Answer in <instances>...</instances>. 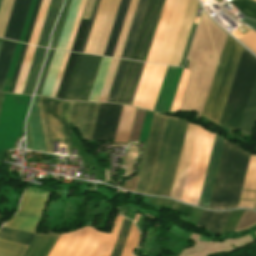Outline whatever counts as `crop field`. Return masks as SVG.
Listing matches in <instances>:
<instances>
[{
    "label": "crop field",
    "instance_id": "obj_19",
    "mask_svg": "<svg viewBox=\"0 0 256 256\" xmlns=\"http://www.w3.org/2000/svg\"><path fill=\"white\" fill-rule=\"evenodd\" d=\"M256 193V156L251 155L245 182L239 202V207H253Z\"/></svg>",
    "mask_w": 256,
    "mask_h": 256
},
{
    "label": "crop field",
    "instance_id": "obj_51",
    "mask_svg": "<svg viewBox=\"0 0 256 256\" xmlns=\"http://www.w3.org/2000/svg\"><path fill=\"white\" fill-rule=\"evenodd\" d=\"M195 25L196 24L192 25V28H191V31H190V34H189V37H188V40H187V43H186V47H185V50H184V53H183V56H182V59H181V62H180L179 66H183V64H184L185 57H186V54H187V51H188V48H189V44H190V41H191V38H192V35H193V32H194Z\"/></svg>",
    "mask_w": 256,
    "mask_h": 256
},
{
    "label": "crop field",
    "instance_id": "obj_17",
    "mask_svg": "<svg viewBox=\"0 0 256 256\" xmlns=\"http://www.w3.org/2000/svg\"><path fill=\"white\" fill-rule=\"evenodd\" d=\"M31 0H15L5 30V39L18 41Z\"/></svg>",
    "mask_w": 256,
    "mask_h": 256
},
{
    "label": "crop field",
    "instance_id": "obj_53",
    "mask_svg": "<svg viewBox=\"0 0 256 256\" xmlns=\"http://www.w3.org/2000/svg\"><path fill=\"white\" fill-rule=\"evenodd\" d=\"M243 22L256 29V22L255 21H252L250 19H245V20H243Z\"/></svg>",
    "mask_w": 256,
    "mask_h": 256
},
{
    "label": "crop field",
    "instance_id": "obj_22",
    "mask_svg": "<svg viewBox=\"0 0 256 256\" xmlns=\"http://www.w3.org/2000/svg\"><path fill=\"white\" fill-rule=\"evenodd\" d=\"M59 234L36 235L24 256H47Z\"/></svg>",
    "mask_w": 256,
    "mask_h": 256
},
{
    "label": "crop field",
    "instance_id": "obj_38",
    "mask_svg": "<svg viewBox=\"0 0 256 256\" xmlns=\"http://www.w3.org/2000/svg\"><path fill=\"white\" fill-rule=\"evenodd\" d=\"M139 236H140V233L138 232V230L136 229V227L132 223L131 228H130V232H129V236H128V239L126 241V244H125V247L123 249V252H122L121 256H130L131 255V253L136 248Z\"/></svg>",
    "mask_w": 256,
    "mask_h": 256
},
{
    "label": "crop field",
    "instance_id": "obj_57",
    "mask_svg": "<svg viewBox=\"0 0 256 256\" xmlns=\"http://www.w3.org/2000/svg\"><path fill=\"white\" fill-rule=\"evenodd\" d=\"M219 3H221L222 2V0H217Z\"/></svg>",
    "mask_w": 256,
    "mask_h": 256
},
{
    "label": "crop field",
    "instance_id": "obj_25",
    "mask_svg": "<svg viewBox=\"0 0 256 256\" xmlns=\"http://www.w3.org/2000/svg\"><path fill=\"white\" fill-rule=\"evenodd\" d=\"M46 49L36 48L35 55L22 94H32L38 79L39 71L44 60Z\"/></svg>",
    "mask_w": 256,
    "mask_h": 256
},
{
    "label": "crop field",
    "instance_id": "obj_31",
    "mask_svg": "<svg viewBox=\"0 0 256 256\" xmlns=\"http://www.w3.org/2000/svg\"><path fill=\"white\" fill-rule=\"evenodd\" d=\"M77 55L78 54H74V53L69 54V57H68V60H67L64 72H63V76H62V79H61V82H60V85H59V88H58V91H57V94L55 97L57 99L63 100V98H64Z\"/></svg>",
    "mask_w": 256,
    "mask_h": 256
},
{
    "label": "crop field",
    "instance_id": "obj_4",
    "mask_svg": "<svg viewBox=\"0 0 256 256\" xmlns=\"http://www.w3.org/2000/svg\"><path fill=\"white\" fill-rule=\"evenodd\" d=\"M256 77V59L243 49L221 117L220 126L239 130Z\"/></svg>",
    "mask_w": 256,
    "mask_h": 256
},
{
    "label": "crop field",
    "instance_id": "obj_60",
    "mask_svg": "<svg viewBox=\"0 0 256 256\" xmlns=\"http://www.w3.org/2000/svg\"><path fill=\"white\" fill-rule=\"evenodd\" d=\"M0 2H1V0H0Z\"/></svg>",
    "mask_w": 256,
    "mask_h": 256
},
{
    "label": "crop field",
    "instance_id": "obj_18",
    "mask_svg": "<svg viewBox=\"0 0 256 256\" xmlns=\"http://www.w3.org/2000/svg\"><path fill=\"white\" fill-rule=\"evenodd\" d=\"M32 149L46 152L42 124L39 116V97L34 98L28 118Z\"/></svg>",
    "mask_w": 256,
    "mask_h": 256
},
{
    "label": "crop field",
    "instance_id": "obj_16",
    "mask_svg": "<svg viewBox=\"0 0 256 256\" xmlns=\"http://www.w3.org/2000/svg\"><path fill=\"white\" fill-rule=\"evenodd\" d=\"M223 142H224V139H222L219 135H216L203 189H202V193H201V197H200V201H199V205H198L200 207L207 208L208 206Z\"/></svg>",
    "mask_w": 256,
    "mask_h": 256
},
{
    "label": "crop field",
    "instance_id": "obj_26",
    "mask_svg": "<svg viewBox=\"0 0 256 256\" xmlns=\"http://www.w3.org/2000/svg\"><path fill=\"white\" fill-rule=\"evenodd\" d=\"M61 3L62 0H51L37 45L47 47L50 29L56 19Z\"/></svg>",
    "mask_w": 256,
    "mask_h": 256
},
{
    "label": "crop field",
    "instance_id": "obj_6",
    "mask_svg": "<svg viewBox=\"0 0 256 256\" xmlns=\"http://www.w3.org/2000/svg\"><path fill=\"white\" fill-rule=\"evenodd\" d=\"M203 129V128H202ZM198 129L181 200L197 206L214 136Z\"/></svg>",
    "mask_w": 256,
    "mask_h": 256
},
{
    "label": "crop field",
    "instance_id": "obj_32",
    "mask_svg": "<svg viewBox=\"0 0 256 256\" xmlns=\"http://www.w3.org/2000/svg\"><path fill=\"white\" fill-rule=\"evenodd\" d=\"M35 48L36 47H34V46H30V45L28 46L27 53H26V56H25V59L23 62V66H22L20 76H19L14 93H19V94L22 93L23 86H24V83H25V80H26V77L28 74V70H29V67H30V64H31V61L33 58Z\"/></svg>",
    "mask_w": 256,
    "mask_h": 256
},
{
    "label": "crop field",
    "instance_id": "obj_23",
    "mask_svg": "<svg viewBox=\"0 0 256 256\" xmlns=\"http://www.w3.org/2000/svg\"><path fill=\"white\" fill-rule=\"evenodd\" d=\"M135 109L123 105L114 143H127Z\"/></svg>",
    "mask_w": 256,
    "mask_h": 256
},
{
    "label": "crop field",
    "instance_id": "obj_39",
    "mask_svg": "<svg viewBox=\"0 0 256 256\" xmlns=\"http://www.w3.org/2000/svg\"><path fill=\"white\" fill-rule=\"evenodd\" d=\"M69 104L70 102L63 101L62 119H63V125L65 129V135H66V144H68V155H72L71 131L69 127V117H68Z\"/></svg>",
    "mask_w": 256,
    "mask_h": 256
},
{
    "label": "crop field",
    "instance_id": "obj_29",
    "mask_svg": "<svg viewBox=\"0 0 256 256\" xmlns=\"http://www.w3.org/2000/svg\"><path fill=\"white\" fill-rule=\"evenodd\" d=\"M111 60L112 59H110V58H105V57L102 58V61H101V64H100V67H99V70H98V73H97V76H96V79H95V82H94V85H93V88H92V91H91L88 101H93V102L98 101L104 80L106 78V75H107V72H108V69H109V66L111 63Z\"/></svg>",
    "mask_w": 256,
    "mask_h": 256
},
{
    "label": "crop field",
    "instance_id": "obj_44",
    "mask_svg": "<svg viewBox=\"0 0 256 256\" xmlns=\"http://www.w3.org/2000/svg\"><path fill=\"white\" fill-rule=\"evenodd\" d=\"M88 21L81 20L71 51L78 52Z\"/></svg>",
    "mask_w": 256,
    "mask_h": 256
},
{
    "label": "crop field",
    "instance_id": "obj_56",
    "mask_svg": "<svg viewBox=\"0 0 256 256\" xmlns=\"http://www.w3.org/2000/svg\"><path fill=\"white\" fill-rule=\"evenodd\" d=\"M253 209H255V210H256V198H255V203H254V207H253Z\"/></svg>",
    "mask_w": 256,
    "mask_h": 256
},
{
    "label": "crop field",
    "instance_id": "obj_3",
    "mask_svg": "<svg viewBox=\"0 0 256 256\" xmlns=\"http://www.w3.org/2000/svg\"><path fill=\"white\" fill-rule=\"evenodd\" d=\"M123 219L117 216L109 234L85 227L60 235L48 256H109Z\"/></svg>",
    "mask_w": 256,
    "mask_h": 256
},
{
    "label": "crop field",
    "instance_id": "obj_33",
    "mask_svg": "<svg viewBox=\"0 0 256 256\" xmlns=\"http://www.w3.org/2000/svg\"><path fill=\"white\" fill-rule=\"evenodd\" d=\"M27 245L0 240V256H22Z\"/></svg>",
    "mask_w": 256,
    "mask_h": 256
},
{
    "label": "crop field",
    "instance_id": "obj_50",
    "mask_svg": "<svg viewBox=\"0 0 256 256\" xmlns=\"http://www.w3.org/2000/svg\"><path fill=\"white\" fill-rule=\"evenodd\" d=\"M68 54L69 53H67V52L65 53V56H64V59H63V62H62V65H61V68H60V71H59V74H58V77H57V80H56V83H55V86H54V89H53V92H52V95H51L53 97H55V94H56V91H57V88H58V85H59V82H60V79H61V75H62L64 66H65Z\"/></svg>",
    "mask_w": 256,
    "mask_h": 256
},
{
    "label": "crop field",
    "instance_id": "obj_58",
    "mask_svg": "<svg viewBox=\"0 0 256 256\" xmlns=\"http://www.w3.org/2000/svg\"><path fill=\"white\" fill-rule=\"evenodd\" d=\"M252 1L256 2V0H252Z\"/></svg>",
    "mask_w": 256,
    "mask_h": 256
},
{
    "label": "crop field",
    "instance_id": "obj_52",
    "mask_svg": "<svg viewBox=\"0 0 256 256\" xmlns=\"http://www.w3.org/2000/svg\"><path fill=\"white\" fill-rule=\"evenodd\" d=\"M81 55L82 54L78 55V58H77V61H76V64H75V68H74V71H73V74H72V77H71V80H70V83H69V86H68V90H67V93H66V96H65V100L68 99V96H69V93H70V90H71V86H72V83H73V80H74V77H75V74H76V71H77V68H78V64H79Z\"/></svg>",
    "mask_w": 256,
    "mask_h": 256
},
{
    "label": "crop field",
    "instance_id": "obj_24",
    "mask_svg": "<svg viewBox=\"0 0 256 256\" xmlns=\"http://www.w3.org/2000/svg\"><path fill=\"white\" fill-rule=\"evenodd\" d=\"M147 0H139L120 58L128 59Z\"/></svg>",
    "mask_w": 256,
    "mask_h": 256
},
{
    "label": "crop field",
    "instance_id": "obj_5",
    "mask_svg": "<svg viewBox=\"0 0 256 256\" xmlns=\"http://www.w3.org/2000/svg\"><path fill=\"white\" fill-rule=\"evenodd\" d=\"M243 47L227 36L202 116L218 124Z\"/></svg>",
    "mask_w": 256,
    "mask_h": 256
},
{
    "label": "crop field",
    "instance_id": "obj_13",
    "mask_svg": "<svg viewBox=\"0 0 256 256\" xmlns=\"http://www.w3.org/2000/svg\"><path fill=\"white\" fill-rule=\"evenodd\" d=\"M122 105L101 103L92 138L106 141L115 135Z\"/></svg>",
    "mask_w": 256,
    "mask_h": 256
},
{
    "label": "crop field",
    "instance_id": "obj_35",
    "mask_svg": "<svg viewBox=\"0 0 256 256\" xmlns=\"http://www.w3.org/2000/svg\"><path fill=\"white\" fill-rule=\"evenodd\" d=\"M130 224H131V221L124 219L110 256H120L123 246L125 244L126 238L128 236Z\"/></svg>",
    "mask_w": 256,
    "mask_h": 256
},
{
    "label": "crop field",
    "instance_id": "obj_30",
    "mask_svg": "<svg viewBox=\"0 0 256 256\" xmlns=\"http://www.w3.org/2000/svg\"><path fill=\"white\" fill-rule=\"evenodd\" d=\"M34 237H35L34 234L17 231V230L5 228V227H2L0 229V239H4V240H9L13 242L30 245Z\"/></svg>",
    "mask_w": 256,
    "mask_h": 256
},
{
    "label": "crop field",
    "instance_id": "obj_46",
    "mask_svg": "<svg viewBox=\"0 0 256 256\" xmlns=\"http://www.w3.org/2000/svg\"><path fill=\"white\" fill-rule=\"evenodd\" d=\"M240 41L246 45L252 52L256 54V33L250 32L249 34L245 35Z\"/></svg>",
    "mask_w": 256,
    "mask_h": 256
},
{
    "label": "crop field",
    "instance_id": "obj_40",
    "mask_svg": "<svg viewBox=\"0 0 256 256\" xmlns=\"http://www.w3.org/2000/svg\"><path fill=\"white\" fill-rule=\"evenodd\" d=\"M189 73H190L189 71H187L185 69L183 70L181 80H180V83H179V86H178V89H177V92H176V95H175V98H174V102H173V105H172V108H171L170 112H174V111L178 110V107H179V104H180V101H181V98H182V95H183V91H184Z\"/></svg>",
    "mask_w": 256,
    "mask_h": 256
},
{
    "label": "crop field",
    "instance_id": "obj_45",
    "mask_svg": "<svg viewBox=\"0 0 256 256\" xmlns=\"http://www.w3.org/2000/svg\"><path fill=\"white\" fill-rule=\"evenodd\" d=\"M99 2H100V0H96V1H95L94 7H93V11H92V14H91V17H90V22H89V25H88L86 34H85V36H84V39H83V42H82V45H81V48H80V51H79V52H81V53L84 52V49H85V46H86V43H87V39H88L90 30H91V27H92V24H93L95 15H96V11H97Z\"/></svg>",
    "mask_w": 256,
    "mask_h": 256
},
{
    "label": "crop field",
    "instance_id": "obj_27",
    "mask_svg": "<svg viewBox=\"0 0 256 256\" xmlns=\"http://www.w3.org/2000/svg\"><path fill=\"white\" fill-rule=\"evenodd\" d=\"M256 121V80L239 131L249 135ZM253 130V129H252ZM252 132V131H251ZM251 134V133H250Z\"/></svg>",
    "mask_w": 256,
    "mask_h": 256
},
{
    "label": "crop field",
    "instance_id": "obj_21",
    "mask_svg": "<svg viewBox=\"0 0 256 256\" xmlns=\"http://www.w3.org/2000/svg\"><path fill=\"white\" fill-rule=\"evenodd\" d=\"M231 212H210L204 210L197 225L209 230L212 233L221 234Z\"/></svg>",
    "mask_w": 256,
    "mask_h": 256
},
{
    "label": "crop field",
    "instance_id": "obj_43",
    "mask_svg": "<svg viewBox=\"0 0 256 256\" xmlns=\"http://www.w3.org/2000/svg\"><path fill=\"white\" fill-rule=\"evenodd\" d=\"M54 52L55 51H53V50H50V52H49V55H48V58L46 60L45 66L43 68L41 79H40V82H39V85L37 87V90H36L35 94H38V95L41 94V91H42V88H43V85H44V82H45V79H46V76H47L52 58H53V55H54Z\"/></svg>",
    "mask_w": 256,
    "mask_h": 256
},
{
    "label": "crop field",
    "instance_id": "obj_14",
    "mask_svg": "<svg viewBox=\"0 0 256 256\" xmlns=\"http://www.w3.org/2000/svg\"><path fill=\"white\" fill-rule=\"evenodd\" d=\"M100 103L71 102L70 122L82 133L83 139H90Z\"/></svg>",
    "mask_w": 256,
    "mask_h": 256
},
{
    "label": "crop field",
    "instance_id": "obj_54",
    "mask_svg": "<svg viewBox=\"0 0 256 256\" xmlns=\"http://www.w3.org/2000/svg\"><path fill=\"white\" fill-rule=\"evenodd\" d=\"M120 210L123 212L122 215H124L127 211V208L122 206V207H120Z\"/></svg>",
    "mask_w": 256,
    "mask_h": 256
},
{
    "label": "crop field",
    "instance_id": "obj_7",
    "mask_svg": "<svg viewBox=\"0 0 256 256\" xmlns=\"http://www.w3.org/2000/svg\"><path fill=\"white\" fill-rule=\"evenodd\" d=\"M120 0H101L84 53L102 55Z\"/></svg>",
    "mask_w": 256,
    "mask_h": 256
},
{
    "label": "crop field",
    "instance_id": "obj_12",
    "mask_svg": "<svg viewBox=\"0 0 256 256\" xmlns=\"http://www.w3.org/2000/svg\"><path fill=\"white\" fill-rule=\"evenodd\" d=\"M102 57L83 54L68 100L87 101Z\"/></svg>",
    "mask_w": 256,
    "mask_h": 256
},
{
    "label": "crop field",
    "instance_id": "obj_28",
    "mask_svg": "<svg viewBox=\"0 0 256 256\" xmlns=\"http://www.w3.org/2000/svg\"><path fill=\"white\" fill-rule=\"evenodd\" d=\"M15 44V42L3 39L0 46V91L3 87Z\"/></svg>",
    "mask_w": 256,
    "mask_h": 256
},
{
    "label": "crop field",
    "instance_id": "obj_59",
    "mask_svg": "<svg viewBox=\"0 0 256 256\" xmlns=\"http://www.w3.org/2000/svg\"><path fill=\"white\" fill-rule=\"evenodd\" d=\"M1 40H2V39H0V43H1Z\"/></svg>",
    "mask_w": 256,
    "mask_h": 256
},
{
    "label": "crop field",
    "instance_id": "obj_8",
    "mask_svg": "<svg viewBox=\"0 0 256 256\" xmlns=\"http://www.w3.org/2000/svg\"><path fill=\"white\" fill-rule=\"evenodd\" d=\"M165 0H148L129 59L145 61Z\"/></svg>",
    "mask_w": 256,
    "mask_h": 256
},
{
    "label": "crop field",
    "instance_id": "obj_41",
    "mask_svg": "<svg viewBox=\"0 0 256 256\" xmlns=\"http://www.w3.org/2000/svg\"><path fill=\"white\" fill-rule=\"evenodd\" d=\"M70 2H71V0H67L66 3H65L64 10H63V13H62V15H61V18H60V20H59V23H58V25H57V28H56V30H55V32H54V35H53V39H52V43H51V47H50V48H53V49L56 48V45H57V42H58V39H59L61 30H62L64 21H65V18H66L67 12H68V8H69V5H70Z\"/></svg>",
    "mask_w": 256,
    "mask_h": 256
},
{
    "label": "crop field",
    "instance_id": "obj_10",
    "mask_svg": "<svg viewBox=\"0 0 256 256\" xmlns=\"http://www.w3.org/2000/svg\"><path fill=\"white\" fill-rule=\"evenodd\" d=\"M166 117L154 114L136 190L147 193Z\"/></svg>",
    "mask_w": 256,
    "mask_h": 256
},
{
    "label": "crop field",
    "instance_id": "obj_47",
    "mask_svg": "<svg viewBox=\"0 0 256 256\" xmlns=\"http://www.w3.org/2000/svg\"><path fill=\"white\" fill-rule=\"evenodd\" d=\"M40 3H41V0H36V4H35L34 10H33V14H32L30 24H29V27H28V31H27L25 41H24L26 43L29 42L30 35H31L32 29H33V26H34V23H35V19H36V16H37V13H38V10H39V7H40Z\"/></svg>",
    "mask_w": 256,
    "mask_h": 256
},
{
    "label": "crop field",
    "instance_id": "obj_11",
    "mask_svg": "<svg viewBox=\"0 0 256 256\" xmlns=\"http://www.w3.org/2000/svg\"><path fill=\"white\" fill-rule=\"evenodd\" d=\"M60 100L40 97V115L43 124L47 152L53 153L52 141L65 143L64 130L61 120Z\"/></svg>",
    "mask_w": 256,
    "mask_h": 256
},
{
    "label": "crop field",
    "instance_id": "obj_20",
    "mask_svg": "<svg viewBox=\"0 0 256 256\" xmlns=\"http://www.w3.org/2000/svg\"><path fill=\"white\" fill-rule=\"evenodd\" d=\"M130 0H121L111 32H110V36L104 51L105 56H113L115 47H116V43L125 19V15L129 6Z\"/></svg>",
    "mask_w": 256,
    "mask_h": 256
},
{
    "label": "crop field",
    "instance_id": "obj_42",
    "mask_svg": "<svg viewBox=\"0 0 256 256\" xmlns=\"http://www.w3.org/2000/svg\"><path fill=\"white\" fill-rule=\"evenodd\" d=\"M28 45L23 44L8 92L13 93Z\"/></svg>",
    "mask_w": 256,
    "mask_h": 256
},
{
    "label": "crop field",
    "instance_id": "obj_15",
    "mask_svg": "<svg viewBox=\"0 0 256 256\" xmlns=\"http://www.w3.org/2000/svg\"><path fill=\"white\" fill-rule=\"evenodd\" d=\"M145 63L129 61L116 101L131 105Z\"/></svg>",
    "mask_w": 256,
    "mask_h": 256
},
{
    "label": "crop field",
    "instance_id": "obj_36",
    "mask_svg": "<svg viewBox=\"0 0 256 256\" xmlns=\"http://www.w3.org/2000/svg\"><path fill=\"white\" fill-rule=\"evenodd\" d=\"M230 3L245 17L256 20V3L250 0H234Z\"/></svg>",
    "mask_w": 256,
    "mask_h": 256
},
{
    "label": "crop field",
    "instance_id": "obj_9",
    "mask_svg": "<svg viewBox=\"0 0 256 256\" xmlns=\"http://www.w3.org/2000/svg\"><path fill=\"white\" fill-rule=\"evenodd\" d=\"M166 67L164 65L145 64L133 106L153 110Z\"/></svg>",
    "mask_w": 256,
    "mask_h": 256
},
{
    "label": "crop field",
    "instance_id": "obj_48",
    "mask_svg": "<svg viewBox=\"0 0 256 256\" xmlns=\"http://www.w3.org/2000/svg\"><path fill=\"white\" fill-rule=\"evenodd\" d=\"M85 2H86V0H83V2H82V5H81V8H80V11H79V14H78V17H77V20H76V23H75L72 35L70 37V40H69V43H68V46H67V49H66L68 51L71 50V47H72V44H73V40H74L76 31H77V28H78V24H79V21H80V18H81V15H82V12H83V9H84V6H85Z\"/></svg>",
    "mask_w": 256,
    "mask_h": 256
},
{
    "label": "crop field",
    "instance_id": "obj_49",
    "mask_svg": "<svg viewBox=\"0 0 256 256\" xmlns=\"http://www.w3.org/2000/svg\"><path fill=\"white\" fill-rule=\"evenodd\" d=\"M173 210L189 218L193 210V207L176 202L175 206L173 207Z\"/></svg>",
    "mask_w": 256,
    "mask_h": 256
},
{
    "label": "crop field",
    "instance_id": "obj_34",
    "mask_svg": "<svg viewBox=\"0 0 256 256\" xmlns=\"http://www.w3.org/2000/svg\"><path fill=\"white\" fill-rule=\"evenodd\" d=\"M128 61L120 60L106 102H114Z\"/></svg>",
    "mask_w": 256,
    "mask_h": 256
},
{
    "label": "crop field",
    "instance_id": "obj_1",
    "mask_svg": "<svg viewBox=\"0 0 256 256\" xmlns=\"http://www.w3.org/2000/svg\"><path fill=\"white\" fill-rule=\"evenodd\" d=\"M249 157L242 147L224 142L208 208H237Z\"/></svg>",
    "mask_w": 256,
    "mask_h": 256
},
{
    "label": "crop field",
    "instance_id": "obj_55",
    "mask_svg": "<svg viewBox=\"0 0 256 256\" xmlns=\"http://www.w3.org/2000/svg\"><path fill=\"white\" fill-rule=\"evenodd\" d=\"M3 96H4V94L0 93V108H1L2 100H3Z\"/></svg>",
    "mask_w": 256,
    "mask_h": 256
},
{
    "label": "crop field",
    "instance_id": "obj_2",
    "mask_svg": "<svg viewBox=\"0 0 256 256\" xmlns=\"http://www.w3.org/2000/svg\"><path fill=\"white\" fill-rule=\"evenodd\" d=\"M187 125L167 117L148 194L170 197Z\"/></svg>",
    "mask_w": 256,
    "mask_h": 256
},
{
    "label": "crop field",
    "instance_id": "obj_37",
    "mask_svg": "<svg viewBox=\"0 0 256 256\" xmlns=\"http://www.w3.org/2000/svg\"><path fill=\"white\" fill-rule=\"evenodd\" d=\"M49 1L50 0H42L41 7L39 10L37 19H36V23H35V26H34V29H33L32 35H31L30 42H29L31 44H35V45L37 44L38 37H39L41 27H42V24H43V21L45 18V14H46V11L48 8Z\"/></svg>",
    "mask_w": 256,
    "mask_h": 256
}]
</instances>
